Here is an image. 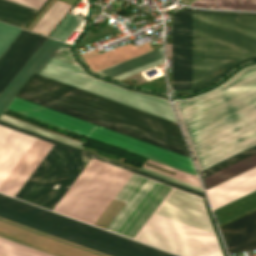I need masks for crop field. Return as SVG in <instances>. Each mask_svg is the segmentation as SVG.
I'll list each match as a JSON object with an SVG mask.
<instances>
[{"instance_id":"16","label":"crop field","mask_w":256,"mask_h":256,"mask_svg":"<svg viewBox=\"0 0 256 256\" xmlns=\"http://www.w3.org/2000/svg\"><path fill=\"white\" fill-rule=\"evenodd\" d=\"M221 229L226 243L256 229V211L222 227Z\"/></svg>"},{"instance_id":"21","label":"crop field","mask_w":256,"mask_h":256,"mask_svg":"<svg viewBox=\"0 0 256 256\" xmlns=\"http://www.w3.org/2000/svg\"><path fill=\"white\" fill-rule=\"evenodd\" d=\"M255 153H256V146L252 147V148H250V149H248V150H246V151H244V152H242V153H240L236 156H233V157H231V158H229V159H227V160H225V161H223L219 164H216V165L200 172L199 174H200L201 178L203 179V178H205V177H207V176H209V175H211V174H213V173H215V172H217L221 169H224V168H226V167H228V166H230V165H232V164H234V163H236V162H238L242 159H245V158H247V157H249V156H251Z\"/></svg>"},{"instance_id":"25","label":"crop field","mask_w":256,"mask_h":256,"mask_svg":"<svg viewBox=\"0 0 256 256\" xmlns=\"http://www.w3.org/2000/svg\"><path fill=\"white\" fill-rule=\"evenodd\" d=\"M49 1H50V0H49ZM49 1H48V2H49ZM54 1H55V0H51V1L46 5V7L44 6L45 8L43 7L44 9L40 12V14L38 13L39 15H38V16L35 18V20L29 25V27L27 28V30L33 31V30H31V29L33 28V26L38 22V20L43 16V14L48 10V8L53 4ZM60 1H62V2H64V3H66V4H68V5H70V6L73 7L74 4H75L78 0H60ZM46 3H47V2H46ZM46 3H45V4H46ZM72 7H71V8H72ZM71 8H70V9H71ZM41 9H42V8H41ZM41 9H40V10H41ZM40 10H39V11H40ZM68 12H69V11H68ZM68 12H67V13H68ZM67 13H66V14H67ZM66 14H65V15H66ZM36 15H37V14H36ZM36 15H35V16H36ZM35 16H34V17H35ZM34 17H33V18H34ZM64 17H65V16H64ZM64 17H63V18H64ZM63 18H62V19H63ZM62 19H61V20H62ZM61 20H60V21H61ZM31 21H32V20H31ZM31 21H30V22H31ZM30 22H29V23H30ZM29 23H28V24H29ZM59 23H60V22H59ZM59 23H58V24H59ZM58 24H57V25H58ZM57 25H56V26H57ZM56 26H55V27H56ZM26 27H27V26H26ZM26 27H25V28H26ZM25 28H24V29H25ZM54 29H55V28H54ZM54 29H53V30H54ZM53 30H52V31H53ZM52 31H51V32H52ZM34 32H35V31H34ZM51 32H50V33H51ZM37 33H38V32H37ZM40 34H41V33H40ZM49 35H50V34H49ZM49 35H48V36H49Z\"/></svg>"},{"instance_id":"19","label":"crop field","mask_w":256,"mask_h":256,"mask_svg":"<svg viewBox=\"0 0 256 256\" xmlns=\"http://www.w3.org/2000/svg\"><path fill=\"white\" fill-rule=\"evenodd\" d=\"M146 162L151 163V164H154V165H157V166H160V167H164V168H167V169H170V170H173V171H176V172H178V173H177L176 176H174V175L168 174V173H166V172H163V171L154 169V168L149 167V166H146V165H143V167H146V168L152 169V170H154V171H157V172H160V173H163V174L172 176V177H174V178H177V179H180V180H183V181L192 183V184H194V185L200 186V183H199L198 178H197L196 176H193V175H191V174H188V173L179 171V170H177V169L168 167V166H166V165H163V164L154 162V161L149 160V159H147ZM146 162H145V163H146ZM145 163H144V164H145ZM143 167H141V168H142V169H145V170H148V171H151V170L146 169V168H143ZM142 169H140V170H142ZM145 170H142V171H145ZM148 171H145V172H148ZM154 171H151V172L156 173V174H159V175H162V176H165V177H168V178H171V177H169V176H166V175H163V174L154 172ZM151 172H148V173L153 174V173H151ZM156 174H153V175H156ZM159 175H156V176H159ZM162 176H159V177H162ZM165 177H162V178L167 179V180H170V181L176 180V181H179V182H182V183L191 185V184H189V183H186V182H183V181L174 179V178H171V179H173V180H171V179H168V178H165ZM176 181H173V182L178 183V184H181V185H184V186H186V187H189V188H192V189H195V190H198V191H200V192H203L202 190H199V189H202V188H200L201 186H200V187H197V186L191 185V186H193V187L199 188V189H196V188H193V187H191V186H188V185H185V184L176 182ZM203 193H204V192H203Z\"/></svg>"},{"instance_id":"7","label":"crop field","mask_w":256,"mask_h":256,"mask_svg":"<svg viewBox=\"0 0 256 256\" xmlns=\"http://www.w3.org/2000/svg\"><path fill=\"white\" fill-rule=\"evenodd\" d=\"M172 22V88L191 89L192 9L173 14Z\"/></svg>"},{"instance_id":"18","label":"crop field","mask_w":256,"mask_h":256,"mask_svg":"<svg viewBox=\"0 0 256 256\" xmlns=\"http://www.w3.org/2000/svg\"><path fill=\"white\" fill-rule=\"evenodd\" d=\"M0 256H54L0 237Z\"/></svg>"},{"instance_id":"23","label":"crop field","mask_w":256,"mask_h":256,"mask_svg":"<svg viewBox=\"0 0 256 256\" xmlns=\"http://www.w3.org/2000/svg\"><path fill=\"white\" fill-rule=\"evenodd\" d=\"M228 253L241 252L256 248V231L226 245Z\"/></svg>"},{"instance_id":"20","label":"crop field","mask_w":256,"mask_h":256,"mask_svg":"<svg viewBox=\"0 0 256 256\" xmlns=\"http://www.w3.org/2000/svg\"><path fill=\"white\" fill-rule=\"evenodd\" d=\"M84 18L68 13L50 37L66 42Z\"/></svg>"},{"instance_id":"6","label":"crop field","mask_w":256,"mask_h":256,"mask_svg":"<svg viewBox=\"0 0 256 256\" xmlns=\"http://www.w3.org/2000/svg\"><path fill=\"white\" fill-rule=\"evenodd\" d=\"M88 160L59 149L22 200L51 209Z\"/></svg>"},{"instance_id":"15","label":"crop field","mask_w":256,"mask_h":256,"mask_svg":"<svg viewBox=\"0 0 256 256\" xmlns=\"http://www.w3.org/2000/svg\"><path fill=\"white\" fill-rule=\"evenodd\" d=\"M191 6L256 11V0H192Z\"/></svg>"},{"instance_id":"10","label":"crop field","mask_w":256,"mask_h":256,"mask_svg":"<svg viewBox=\"0 0 256 256\" xmlns=\"http://www.w3.org/2000/svg\"><path fill=\"white\" fill-rule=\"evenodd\" d=\"M256 190V167L209 190L208 197L213 209H217Z\"/></svg>"},{"instance_id":"11","label":"crop field","mask_w":256,"mask_h":256,"mask_svg":"<svg viewBox=\"0 0 256 256\" xmlns=\"http://www.w3.org/2000/svg\"><path fill=\"white\" fill-rule=\"evenodd\" d=\"M163 62V47L97 73L121 80Z\"/></svg>"},{"instance_id":"3","label":"crop field","mask_w":256,"mask_h":256,"mask_svg":"<svg viewBox=\"0 0 256 256\" xmlns=\"http://www.w3.org/2000/svg\"><path fill=\"white\" fill-rule=\"evenodd\" d=\"M174 106L199 172L240 153L256 145V66Z\"/></svg>"},{"instance_id":"26","label":"crop field","mask_w":256,"mask_h":256,"mask_svg":"<svg viewBox=\"0 0 256 256\" xmlns=\"http://www.w3.org/2000/svg\"><path fill=\"white\" fill-rule=\"evenodd\" d=\"M27 7L39 10L46 0H8Z\"/></svg>"},{"instance_id":"4","label":"crop field","mask_w":256,"mask_h":256,"mask_svg":"<svg viewBox=\"0 0 256 256\" xmlns=\"http://www.w3.org/2000/svg\"><path fill=\"white\" fill-rule=\"evenodd\" d=\"M256 58V14L193 9L192 91Z\"/></svg>"},{"instance_id":"1","label":"crop field","mask_w":256,"mask_h":256,"mask_svg":"<svg viewBox=\"0 0 256 256\" xmlns=\"http://www.w3.org/2000/svg\"><path fill=\"white\" fill-rule=\"evenodd\" d=\"M0 126L65 148L94 160L156 180L180 190L205 198L203 193L151 176L137 169L114 162L90 152L79 150L27 130L0 121ZM0 127V192L12 196L49 144ZM59 148L50 146L13 197L21 199ZM89 160L75 180L53 206L52 210L93 224L110 200L130 177L131 173ZM132 174L114 199L127 203L108 226L113 231L152 180ZM153 182V181H152ZM151 182V184H152ZM150 184V185H151ZM149 185V186H150ZM148 186V187H149ZM157 182L144 191L135 207L118 224L116 233L134 239L156 208L171 191ZM173 188L156 212L213 231L200 197ZM206 199V198H205ZM112 201V200H111ZM109 205V204H108ZM133 205V206H134ZM154 213L135 240L175 253L180 256H222L215 233ZM102 214V213H101ZM99 218V217H98ZM113 231V232H114Z\"/></svg>"},{"instance_id":"2","label":"crop field","mask_w":256,"mask_h":256,"mask_svg":"<svg viewBox=\"0 0 256 256\" xmlns=\"http://www.w3.org/2000/svg\"><path fill=\"white\" fill-rule=\"evenodd\" d=\"M76 64L69 48L52 53ZM50 55L37 72L175 120L166 101L125 91L87 76L80 67ZM35 72L27 83L182 137L175 121ZM25 83L16 96L189 156L182 138ZM14 97L7 109L197 175L189 157L39 104Z\"/></svg>"},{"instance_id":"12","label":"crop field","mask_w":256,"mask_h":256,"mask_svg":"<svg viewBox=\"0 0 256 256\" xmlns=\"http://www.w3.org/2000/svg\"><path fill=\"white\" fill-rule=\"evenodd\" d=\"M36 12L37 10L0 0V20L9 24L18 27L26 26Z\"/></svg>"},{"instance_id":"17","label":"crop field","mask_w":256,"mask_h":256,"mask_svg":"<svg viewBox=\"0 0 256 256\" xmlns=\"http://www.w3.org/2000/svg\"><path fill=\"white\" fill-rule=\"evenodd\" d=\"M69 8L70 6L56 0L40 21L35 25L33 30L48 35Z\"/></svg>"},{"instance_id":"13","label":"crop field","mask_w":256,"mask_h":256,"mask_svg":"<svg viewBox=\"0 0 256 256\" xmlns=\"http://www.w3.org/2000/svg\"><path fill=\"white\" fill-rule=\"evenodd\" d=\"M256 166V154L242 160L224 170H221L205 179H203V184L205 189H209L225 180H228L246 170H249Z\"/></svg>"},{"instance_id":"14","label":"crop field","mask_w":256,"mask_h":256,"mask_svg":"<svg viewBox=\"0 0 256 256\" xmlns=\"http://www.w3.org/2000/svg\"><path fill=\"white\" fill-rule=\"evenodd\" d=\"M256 207V192L233 202L217 211H215V216L218 224H222L238 215H241Z\"/></svg>"},{"instance_id":"24","label":"crop field","mask_w":256,"mask_h":256,"mask_svg":"<svg viewBox=\"0 0 256 256\" xmlns=\"http://www.w3.org/2000/svg\"><path fill=\"white\" fill-rule=\"evenodd\" d=\"M21 29L0 23V55L19 34Z\"/></svg>"},{"instance_id":"9","label":"crop field","mask_w":256,"mask_h":256,"mask_svg":"<svg viewBox=\"0 0 256 256\" xmlns=\"http://www.w3.org/2000/svg\"><path fill=\"white\" fill-rule=\"evenodd\" d=\"M69 47L67 43L47 38L5 90L0 94V115L11 101L13 96L30 78V76L39 68L47 57L57 49Z\"/></svg>"},{"instance_id":"5","label":"crop field","mask_w":256,"mask_h":256,"mask_svg":"<svg viewBox=\"0 0 256 256\" xmlns=\"http://www.w3.org/2000/svg\"><path fill=\"white\" fill-rule=\"evenodd\" d=\"M0 217L111 256H174L1 194Z\"/></svg>"},{"instance_id":"8","label":"crop field","mask_w":256,"mask_h":256,"mask_svg":"<svg viewBox=\"0 0 256 256\" xmlns=\"http://www.w3.org/2000/svg\"><path fill=\"white\" fill-rule=\"evenodd\" d=\"M46 37L22 30L0 56V93L44 42Z\"/></svg>"},{"instance_id":"22","label":"crop field","mask_w":256,"mask_h":256,"mask_svg":"<svg viewBox=\"0 0 256 256\" xmlns=\"http://www.w3.org/2000/svg\"><path fill=\"white\" fill-rule=\"evenodd\" d=\"M2 116H5V117H7V118H10V119L16 120V121H18V122H21V123H24V124L30 125V126H32V127H35V128L41 129V130H43V131H46V132L52 133V134H54V135H57V136H60V137L66 138V139H68V140H71V141H74V142H77V143H79V144H82V145H83V143H80V142H78V141H75V140L69 139V138H67V137H64V136H61V135L55 134V133H53V132H50V131L44 130V129H42V128H39V127L33 126V125H31V124H28V123H25V122L19 121V120H17V119H14V118L8 117V116H6V115H3V114H2ZM2 116H0V120H2V121L8 122V123H11V124H14V125H17V126H20V127L26 128V129H29V130H31V131H34V132L40 133V134H42V135H45V136H48V137L54 138V139H56V140H59V141L65 142V143H67V144H70V145L76 146V147H78V148H81V147H82V145H79V144H77V143H74V142L68 141V140H66V139H63V138H60V137L54 136V135H52V134H49V133L43 132V131H41V130H38V129L32 128V127H30V126H27V125H24V124H21V123H18V122H16V121H13V120L7 119V118L2 117Z\"/></svg>"}]
</instances>
